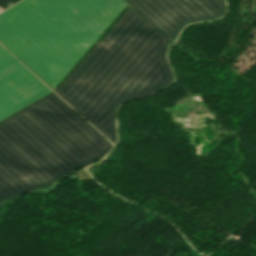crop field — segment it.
Wrapping results in <instances>:
<instances>
[{
    "label": "crop field",
    "mask_w": 256,
    "mask_h": 256,
    "mask_svg": "<svg viewBox=\"0 0 256 256\" xmlns=\"http://www.w3.org/2000/svg\"><path fill=\"white\" fill-rule=\"evenodd\" d=\"M18 0H0V8L3 10Z\"/></svg>",
    "instance_id": "obj_6"
},
{
    "label": "crop field",
    "mask_w": 256,
    "mask_h": 256,
    "mask_svg": "<svg viewBox=\"0 0 256 256\" xmlns=\"http://www.w3.org/2000/svg\"><path fill=\"white\" fill-rule=\"evenodd\" d=\"M171 40L185 23L220 16L222 0H127Z\"/></svg>",
    "instance_id": "obj_4"
},
{
    "label": "crop field",
    "mask_w": 256,
    "mask_h": 256,
    "mask_svg": "<svg viewBox=\"0 0 256 256\" xmlns=\"http://www.w3.org/2000/svg\"><path fill=\"white\" fill-rule=\"evenodd\" d=\"M126 5L23 0L0 13V42L54 89Z\"/></svg>",
    "instance_id": "obj_3"
},
{
    "label": "crop field",
    "mask_w": 256,
    "mask_h": 256,
    "mask_svg": "<svg viewBox=\"0 0 256 256\" xmlns=\"http://www.w3.org/2000/svg\"><path fill=\"white\" fill-rule=\"evenodd\" d=\"M50 91L0 46V120Z\"/></svg>",
    "instance_id": "obj_5"
},
{
    "label": "crop field",
    "mask_w": 256,
    "mask_h": 256,
    "mask_svg": "<svg viewBox=\"0 0 256 256\" xmlns=\"http://www.w3.org/2000/svg\"><path fill=\"white\" fill-rule=\"evenodd\" d=\"M111 145L53 92L0 122V202L105 154Z\"/></svg>",
    "instance_id": "obj_2"
},
{
    "label": "crop field",
    "mask_w": 256,
    "mask_h": 256,
    "mask_svg": "<svg viewBox=\"0 0 256 256\" xmlns=\"http://www.w3.org/2000/svg\"><path fill=\"white\" fill-rule=\"evenodd\" d=\"M136 14H138L130 5ZM119 19L98 45L58 89L54 90L84 118L114 141L113 111L129 98L149 93L170 82L164 59L169 39L131 9Z\"/></svg>",
    "instance_id": "obj_1"
}]
</instances>
